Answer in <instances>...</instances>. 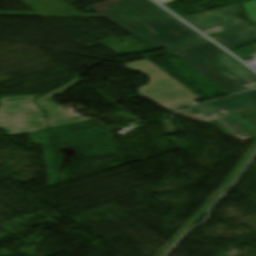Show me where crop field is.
I'll use <instances>...</instances> for the list:
<instances>
[{
  "label": "crop field",
  "mask_w": 256,
  "mask_h": 256,
  "mask_svg": "<svg viewBox=\"0 0 256 256\" xmlns=\"http://www.w3.org/2000/svg\"><path fill=\"white\" fill-rule=\"evenodd\" d=\"M241 10L238 5L184 18L185 21L195 26L206 36L210 37L246 24L237 18Z\"/></svg>",
  "instance_id": "5"
},
{
  "label": "crop field",
  "mask_w": 256,
  "mask_h": 256,
  "mask_svg": "<svg viewBox=\"0 0 256 256\" xmlns=\"http://www.w3.org/2000/svg\"><path fill=\"white\" fill-rule=\"evenodd\" d=\"M0 128L10 135L21 134L34 130L47 128L44 119L0 120Z\"/></svg>",
  "instance_id": "8"
},
{
  "label": "crop field",
  "mask_w": 256,
  "mask_h": 256,
  "mask_svg": "<svg viewBox=\"0 0 256 256\" xmlns=\"http://www.w3.org/2000/svg\"><path fill=\"white\" fill-rule=\"evenodd\" d=\"M90 119L91 118L89 117L80 118V117H76L71 114H68V115L50 117V118H47V121H48L49 128H51V127L66 125V124L90 120Z\"/></svg>",
  "instance_id": "10"
},
{
  "label": "crop field",
  "mask_w": 256,
  "mask_h": 256,
  "mask_svg": "<svg viewBox=\"0 0 256 256\" xmlns=\"http://www.w3.org/2000/svg\"><path fill=\"white\" fill-rule=\"evenodd\" d=\"M249 108L256 111V89L178 111V113L181 115H196L202 120L214 119L241 140L245 141L252 138L223 116ZM221 110H227L228 112L221 114L219 113Z\"/></svg>",
  "instance_id": "4"
},
{
  "label": "crop field",
  "mask_w": 256,
  "mask_h": 256,
  "mask_svg": "<svg viewBox=\"0 0 256 256\" xmlns=\"http://www.w3.org/2000/svg\"><path fill=\"white\" fill-rule=\"evenodd\" d=\"M38 95L0 98V118L43 117L32 102Z\"/></svg>",
  "instance_id": "6"
},
{
  "label": "crop field",
  "mask_w": 256,
  "mask_h": 256,
  "mask_svg": "<svg viewBox=\"0 0 256 256\" xmlns=\"http://www.w3.org/2000/svg\"><path fill=\"white\" fill-rule=\"evenodd\" d=\"M171 52L230 94L256 86L253 71L208 39Z\"/></svg>",
  "instance_id": "2"
},
{
  "label": "crop field",
  "mask_w": 256,
  "mask_h": 256,
  "mask_svg": "<svg viewBox=\"0 0 256 256\" xmlns=\"http://www.w3.org/2000/svg\"><path fill=\"white\" fill-rule=\"evenodd\" d=\"M127 68L146 74L151 78L148 86L140 88L142 97L172 111L184 106L193 105L199 100L171 77L153 66L147 60L124 64Z\"/></svg>",
  "instance_id": "3"
},
{
  "label": "crop field",
  "mask_w": 256,
  "mask_h": 256,
  "mask_svg": "<svg viewBox=\"0 0 256 256\" xmlns=\"http://www.w3.org/2000/svg\"><path fill=\"white\" fill-rule=\"evenodd\" d=\"M90 8L153 49L205 39L151 0H108Z\"/></svg>",
  "instance_id": "1"
},
{
  "label": "crop field",
  "mask_w": 256,
  "mask_h": 256,
  "mask_svg": "<svg viewBox=\"0 0 256 256\" xmlns=\"http://www.w3.org/2000/svg\"><path fill=\"white\" fill-rule=\"evenodd\" d=\"M81 78H76L75 80H73L72 82H70L69 84L59 88L58 90L44 96L41 98H38L36 100H34V102L37 104V106L42 109L43 111H47L48 113H46V116L49 115H55V114H61V113H67L69 111H62L61 109H59V106L57 104H55L52 101V98L54 95L58 94L59 92H61L62 90H64L65 88H67L68 86L72 85L73 83H75L76 81H78Z\"/></svg>",
  "instance_id": "9"
},
{
  "label": "crop field",
  "mask_w": 256,
  "mask_h": 256,
  "mask_svg": "<svg viewBox=\"0 0 256 256\" xmlns=\"http://www.w3.org/2000/svg\"><path fill=\"white\" fill-rule=\"evenodd\" d=\"M242 5L248 20L256 24V0L246 2Z\"/></svg>",
  "instance_id": "11"
},
{
  "label": "crop field",
  "mask_w": 256,
  "mask_h": 256,
  "mask_svg": "<svg viewBox=\"0 0 256 256\" xmlns=\"http://www.w3.org/2000/svg\"><path fill=\"white\" fill-rule=\"evenodd\" d=\"M226 49L230 50L256 41V26H247L227 34L213 37Z\"/></svg>",
  "instance_id": "7"
}]
</instances>
